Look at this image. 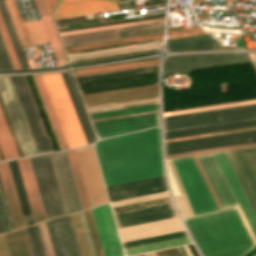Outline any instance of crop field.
<instances>
[{"label": "crop field", "mask_w": 256, "mask_h": 256, "mask_svg": "<svg viewBox=\"0 0 256 256\" xmlns=\"http://www.w3.org/2000/svg\"><path fill=\"white\" fill-rule=\"evenodd\" d=\"M105 185L163 175L160 127L94 144Z\"/></svg>", "instance_id": "8a807250"}, {"label": "crop field", "mask_w": 256, "mask_h": 256, "mask_svg": "<svg viewBox=\"0 0 256 256\" xmlns=\"http://www.w3.org/2000/svg\"><path fill=\"white\" fill-rule=\"evenodd\" d=\"M184 222L203 256H242L254 246L235 207Z\"/></svg>", "instance_id": "ac0d7876"}, {"label": "crop field", "mask_w": 256, "mask_h": 256, "mask_svg": "<svg viewBox=\"0 0 256 256\" xmlns=\"http://www.w3.org/2000/svg\"><path fill=\"white\" fill-rule=\"evenodd\" d=\"M0 96L23 155L53 151L24 77H0Z\"/></svg>", "instance_id": "34b2d1b8"}, {"label": "crop field", "mask_w": 256, "mask_h": 256, "mask_svg": "<svg viewBox=\"0 0 256 256\" xmlns=\"http://www.w3.org/2000/svg\"><path fill=\"white\" fill-rule=\"evenodd\" d=\"M68 148L86 146L83 133L60 73L41 75Z\"/></svg>", "instance_id": "412701ff"}, {"label": "crop field", "mask_w": 256, "mask_h": 256, "mask_svg": "<svg viewBox=\"0 0 256 256\" xmlns=\"http://www.w3.org/2000/svg\"><path fill=\"white\" fill-rule=\"evenodd\" d=\"M256 119V104L163 118L164 132Z\"/></svg>", "instance_id": "f4fd0767"}, {"label": "crop field", "mask_w": 256, "mask_h": 256, "mask_svg": "<svg viewBox=\"0 0 256 256\" xmlns=\"http://www.w3.org/2000/svg\"><path fill=\"white\" fill-rule=\"evenodd\" d=\"M195 215L217 210L218 207L193 159L172 160Z\"/></svg>", "instance_id": "dd49c442"}, {"label": "crop field", "mask_w": 256, "mask_h": 256, "mask_svg": "<svg viewBox=\"0 0 256 256\" xmlns=\"http://www.w3.org/2000/svg\"><path fill=\"white\" fill-rule=\"evenodd\" d=\"M30 163L46 215V219H53L64 215L61 198L52 170L49 155L31 157Z\"/></svg>", "instance_id": "e52e79f7"}, {"label": "crop field", "mask_w": 256, "mask_h": 256, "mask_svg": "<svg viewBox=\"0 0 256 256\" xmlns=\"http://www.w3.org/2000/svg\"><path fill=\"white\" fill-rule=\"evenodd\" d=\"M256 142V129L165 143V155Z\"/></svg>", "instance_id": "d8731c3e"}, {"label": "crop field", "mask_w": 256, "mask_h": 256, "mask_svg": "<svg viewBox=\"0 0 256 256\" xmlns=\"http://www.w3.org/2000/svg\"><path fill=\"white\" fill-rule=\"evenodd\" d=\"M251 61L248 54H199L165 59L166 74Z\"/></svg>", "instance_id": "5a996713"}, {"label": "crop field", "mask_w": 256, "mask_h": 256, "mask_svg": "<svg viewBox=\"0 0 256 256\" xmlns=\"http://www.w3.org/2000/svg\"><path fill=\"white\" fill-rule=\"evenodd\" d=\"M76 155L90 206L108 202L93 146L77 149Z\"/></svg>", "instance_id": "3316defc"}, {"label": "crop field", "mask_w": 256, "mask_h": 256, "mask_svg": "<svg viewBox=\"0 0 256 256\" xmlns=\"http://www.w3.org/2000/svg\"><path fill=\"white\" fill-rule=\"evenodd\" d=\"M50 159L62 198L65 213L81 210V204L73 179L67 152L51 153Z\"/></svg>", "instance_id": "28ad6ade"}, {"label": "crop field", "mask_w": 256, "mask_h": 256, "mask_svg": "<svg viewBox=\"0 0 256 256\" xmlns=\"http://www.w3.org/2000/svg\"><path fill=\"white\" fill-rule=\"evenodd\" d=\"M92 214L105 256H123L110 205L92 208Z\"/></svg>", "instance_id": "d1516ede"}, {"label": "crop field", "mask_w": 256, "mask_h": 256, "mask_svg": "<svg viewBox=\"0 0 256 256\" xmlns=\"http://www.w3.org/2000/svg\"><path fill=\"white\" fill-rule=\"evenodd\" d=\"M97 138L159 125V113L92 123Z\"/></svg>", "instance_id": "22f410ed"}, {"label": "crop field", "mask_w": 256, "mask_h": 256, "mask_svg": "<svg viewBox=\"0 0 256 256\" xmlns=\"http://www.w3.org/2000/svg\"><path fill=\"white\" fill-rule=\"evenodd\" d=\"M175 217L171 203L114 215L118 228Z\"/></svg>", "instance_id": "cbeb9de0"}, {"label": "crop field", "mask_w": 256, "mask_h": 256, "mask_svg": "<svg viewBox=\"0 0 256 256\" xmlns=\"http://www.w3.org/2000/svg\"><path fill=\"white\" fill-rule=\"evenodd\" d=\"M106 188L110 201L167 190L163 176Z\"/></svg>", "instance_id": "5142ce71"}, {"label": "crop field", "mask_w": 256, "mask_h": 256, "mask_svg": "<svg viewBox=\"0 0 256 256\" xmlns=\"http://www.w3.org/2000/svg\"><path fill=\"white\" fill-rule=\"evenodd\" d=\"M197 157V156H196ZM223 208L238 205L213 154L198 156Z\"/></svg>", "instance_id": "d9b57169"}, {"label": "crop field", "mask_w": 256, "mask_h": 256, "mask_svg": "<svg viewBox=\"0 0 256 256\" xmlns=\"http://www.w3.org/2000/svg\"><path fill=\"white\" fill-rule=\"evenodd\" d=\"M214 156L256 236V215L246 195L244 194L224 152L215 153Z\"/></svg>", "instance_id": "733c2abd"}, {"label": "crop field", "mask_w": 256, "mask_h": 256, "mask_svg": "<svg viewBox=\"0 0 256 256\" xmlns=\"http://www.w3.org/2000/svg\"><path fill=\"white\" fill-rule=\"evenodd\" d=\"M118 9L115 0H83L59 4L53 18H63Z\"/></svg>", "instance_id": "4a817a6b"}, {"label": "crop field", "mask_w": 256, "mask_h": 256, "mask_svg": "<svg viewBox=\"0 0 256 256\" xmlns=\"http://www.w3.org/2000/svg\"><path fill=\"white\" fill-rule=\"evenodd\" d=\"M17 161H18V165L22 175L27 197L29 200V204L31 207L34 222L36 223V222L44 221L46 219H45L43 208L40 202L38 191L36 188L34 177L31 171L29 160L28 158H25V159H19Z\"/></svg>", "instance_id": "bc2a9ffb"}, {"label": "crop field", "mask_w": 256, "mask_h": 256, "mask_svg": "<svg viewBox=\"0 0 256 256\" xmlns=\"http://www.w3.org/2000/svg\"><path fill=\"white\" fill-rule=\"evenodd\" d=\"M178 221H179V219L175 218V219H169V220H164V221H159V222H153V223H148V224L120 228V229H118V231H119V233H121V232L137 230V229H142V228H147V227H152V226H157V225H162V224H168V223H173V222H178ZM180 226H182V225L180 222H178V223L162 225V226H157V227H152V228H147V229H142V230H137V231L121 233V234H119V236H120V238H122V237L133 236V235H138V234H143V233H148V232H154V231H159V230H164V229H169V228L180 227ZM183 230H184V228L180 227V228L169 229V230H164V231H159V232H154V233H148V234H143V235H138V236H133V237L122 238V239H120V241L123 242V241L139 239V238H144V237H149V236H154V235H159V234L183 231Z\"/></svg>", "instance_id": "214f88e0"}, {"label": "crop field", "mask_w": 256, "mask_h": 256, "mask_svg": "<svg viewBox=\"0 0 256 256\" xmlns=\"http://www.w3.org/2000/svg\"><path fill=\"white\" fill-rule=\"evenodd\" d=\"M155 93H158L157 84L105 91V92H98V93H91V94H84L81 96L83 98L84 103L88 104V103H94V102H100V101H107V100L155 94Z\"/></svg>", "instance_id": "92a150f3"}, {"label": "crop field", "mask_w": 256, "mask_h": 256, "mask_svg": "<svg viewBox=\"0 0 256 256\" xmlns=\"http://www.w3.org/2000/svg\"><path fill=\"white\" fill-rule=\"evenodd\" d=\"M0 175L6 192L15 228H22L25 225L7 161L0 162Z\"/></svg>", "instance_id": "dafd665d"}, {"label": "crop field", "mask_w": 256, "mask_h": 256, "mask_svg": "<svg viewBox=\"0 0 256 256\" xmlns=\"http://www.w3.org/2000/svg\"><path fill=\"white\" fill-rule=\"evenodd\" d=\"M214 44H218L209 35L170 40L167 41L166 48L169 52L197 51L215 49Z\"/></svg>", "instance_id": "00972430"}, {"label": "crop field", "mask_w": 256, "mask_h": 256, "mask_svg": "<svg viewBox=\"0 0 256 256\" xmlns=\"http://www.w3.org/2000/svg\"><path fill=\"white\" fill-rule=\"evenodd\" d=\"M62 77L64 79L65 85L67 87L68 93L70 95L72 104L74 106L75 112L77 114L79 123L81 125L82 131L84 133L87 144L95 142L92 131L90 129L89 123L87 121L86 115L84 113L83 107L79 100L78 94L76 92L75 86L73 84L72 78L69 74L62 72Z\"/></svg>", "instance_id": "a9b5d70f"}, {"label": "crop field", "mask_w": 256, "mask_h": 256, "mask_svg": "<svg viewBox=\"0 0 256 256\" xmlns=\"http://www.w3.org/2000/svg\"><path fill=\"white\" fill-rule=\"evenodd\" d=\"M52 226L61 256H77L72 242L67 218L52 220Z\"/></svg>", "instance_id": "4177f3b9"}, {"label": "crop field", "mask_w": 256, "mask_h": 256, "mask_svg": "<svg viewBox=\"0 0 256 256\" xmlns=\"http://www.w3.org/2000/svg\"><path fill=\"white\" fill-rule=\"evenodd\" d=\"M256 120L164 133V139L254 127Z\"/></svg>", "instance_id": "730fd06b"}, {"label": "crop field", "mask_w": 256, "mask_h": 256, "mask_svg": "<svg viewBox=\"0 0 256 256\" xmlns=\"http://www.w3.org/2000/svg\"><path fill=\"white\" fill-rule=\"evenodd\" d=\"M8 162H9L10 170H11V173H12L13 181H14V184H15L16 192H17V195H18L19 203H20V206H21L22 214H23V217H24L25 225L27 226V225L33 224L34 223L33 218H32V215H31L28 200H27L26 193H25V190H24V186H23V183H22V179H21V176H20L17 161L12 160V161H8Z\"/></svg>", "instance_id": "eef30255"}, {"label": "crop field", "mask_w": 256, "mask_h": 256, "mask_svg": "<svg viewBox=\"0 0 256 256\" xmlns=\"http://www.w3.org/2000/svg\"><path fill=\"white\" fill-rule=\"evenodd\" d=\"M45 28L46 34L48 36L49 42L53 49L54 55L56 57L58 65H63L66 63L67 59L64 54L63 48L61 46L59 37L57 35L56 29L54 27L51 16L40 17Z\"/></svg>", "instance_id": "ae1a2a85"}, {"label": "crop field", "mask_w": 256, "mask_h": 256, "mask_svg": "<svg viewBox=\"0 0 256 256\" xmlns=\"http://www.w3.org/2000/svg\"><path fill=\"white\" fill-rule=\"evenodd\" d=\"M0 11H1L2 17L4 19V22L6 24L7 30L9 32V35L11 37V40L13 42L16 53L18 55V58L20 60L22 68L23 69L30 68L29 65H28L27 59L25 57V54L23 52L22 46L20 44V41L18 39L15 28L13 26V23L11 21L10 15H9L8 10L6 8L4 0H0Z\"/></svg>", "instance_id": "d3111659"}, {"label": "crop field", "mask_w": 256, "mask_h": 256, "mask_svg": "<svg viewBox=\"0 0 256 256\" xmlns=\"http://www.w3.org/2000/svg\"><path fill=\"white\" fill-rule=\"evenodd\" d=\"M5 235L11 256H31L23 228Z\"/></svg>", "instance_id": "750c4746"}, {"label": "crop field", "mask_w": 256, "mask_h": 256, "mask_svg": "<svg viewBox=\"0 0 256 256\" xmlns=\"http://www.w3.org/2000/svg\"><path fill=\"white\" fill-rule=\"evenodd\" d=\"M0 149L5 160L19 157L0 111Z\"/></svg>", "instance_id": "bd1437ed"}, {"label": "crop field", "mask_w": 256, "mask_h": 256, "mask_svg": "<svg viewBox=\"0 0 256 256\" xmlns=\"http://www.w3.org/2000/svg\"><path fill=\"white\" fill-rule=\"evenodd\" d=\"M189 243H192V242L189 239V237L186 236V237H181V238H176V239H171V240H166V241H161V242H156V243H151V244H146V245L125 248L123 250H124V254L128 255V254H133V253H138V252H144V251L165 248V247H171V246H177V245H183V244H189Z\"/></svg>", "instance_id": "1d83c4d3"}, {"label": "crop field", "mask_w": 256, "mask_h": 256, "mask_svg": "<svg viewBox=\"0 0 256 256\" xmlns=\"http://www.w3.org/2000/svg\"><path fill=\"white\" fill-rule=\"evenodd\" d=\"M67 152H68L69 160H70V163H71L72 171H73V174H74V178H75L76 186H77V189H78L79 197H80V200H81L82 208L83 209L89 208L90 206H89L88 198H87L86 191H85V188H84V184H83V180H82V177H81L78 162H77V159H76L75 151L70 150V151H67Z\"/></svg>", "instance_id": "120bbe31"}, {"label": "crop field", "mask_w": 256, "mask_h": 256, "mask_svg": "<svg viewBox=\"0 0 256 256\" xmlns=\"http://www.w3.org/2000/svg\"><path fill=\"white\" fill-rule=\"evenodd\" d=\"M225 154H226V156H227V158H228V160H229V162H230V164H231V166H232V168H233V170H234V172H235V174H236V176H237V178H238V180H239V182H240V184H241V186L244 190V192L246 193V195H247V197H248V199H249V201H250V203H251V205H252V207H253V209L256 213V199H255V197H254V195H253V193H252V191H251V189H250V187H249V185H248V183H247V181H246V179H245V177H244V175H243V173H242V171H241V169H240V167H239V165H238V163H237V161H236V159H235V157L232 153V151H227V152H225Z\"/></svg>", "instance_id": "d32e631a"}, {"label": "crop field", "mask_w": 256, "mask_h": 256, "mask_svg": "<svg viewBox=\"0 0 256 256\" xmlns=\"http://www.w3.org/2000/svg\"><path fill=\"white\" fill-rule=\"evenodd\" d=\"M156 48H157V45H151V46H143V47L122 49V50H115V51H107V52H100V53H93V54H86V55L71 56V57H68V59L70 61H75V60L103 57V56H110V55H118V54L153 50Z\"/></svg>", "instance_id": "5866460e"}, {"label": "crop field", "mask_w": 256, "mask_h": 256, "mask_svg": "<svg viewBox=\"0 0 256 256\" xmlns=\"http://www.w3.org/2000/svg\"><path fill=\"white\" fill-rule=\"evenodd\" d=\"M83 212H84V216H85L87 226H88V229H89V232H90V236H91L92 243H93V246H94L95 254H96V256H104L103 252H102L101 245H100V241H99V238H98V235H97V231H96V228H95V224H94V221H93V217H92V214H91V210L88 209V210H84Z\"/></svg>", "instance_id": "028f5c9d"}, {"label": "crop field", "mask_w": 256, "mask_h": 256, "mask_svg": "<svg viewBox=\"0 0 256 256\" xmlns=\"http://www.w3.org/2000/svg\"><path fill=\"white\" fill-rule=\"evenodd\" d=\"M159 109L158 104L89 115L91 119Z\"/></svg>", "instance_id": "e1f06a70"}, {"label": "crop field", "mask_w": 256, "mask_h": 256, "mask_svg": "<svg viewBox=\"0 0 256 256\" xmlns=\"http://www.w3.org/2000/svg\"><path fill=\"white\" fill-rule=\"evenodd\" d=\"M71 216H72V220H73V223H74L77 238H78V241H79L82 256H89V252H88V248H87V245H86L84 233H83V230H82L79 214L76 213V214H72Z\"/></svg>", "instance_id": "0bd39190"}, {"label": "crop field", "mask_w": 256, "mask_h": 256, "mask_svg": "<svg viewBox=\"0 0 256 256\" xmlns=\"http://www.w3.org/2000/svg\"><path fill=\"white\" fill-rule=\"evenodd\" d=\"M0 32H1V35H2L3 40L5 42L6 48L8 50L9 55H10V58L12 60L14 68L15 69H21V67L18 63L17 57L15 55L14 49L12 47L11 41L9 39L8 33L6 31L5 25L3 23L1 15H0Z\"/></svg>", "instance_id": "b80d0937"}, {"label": "crop field", "mask_w": 256, "mask_h": 256, "mask_svg": "<svg viewBox=\"0 0 256 256\" xmlns=\"http://www.w3.org/2000/svg\"><path fill=\"white\" fill-rule=\"evenodd\" d=\"M233 153H234V155H235V157H236V159H237L245 177L247 178V180H248V182H249V184H250V186H251V188H252V190H253V192L256 196V182H255V180H254V178H253V176H252V174H251V172H250V170H249V168H248L240 150H235V151H233Z\"/></svg>", "instance_id": "c035e120"}, {"label": "crop field", "mask_w": 256, "mask_h": 256, "mask_svg": "<svg viewBox=\"0 0 256 256\" xmlns=\"http://www.w3.org/2000/svg\"><path fill=\"white\" fill-rule=\"evenodd\" d=\"M253 146H256V143L224 147V148H217V149H210V150H203V151H196V152H189V153H182V154H175V155H168V156H165V159L197 155V154H204V153H211V152H218V151H225V150H232V149H239V148H246V147H253Z\"/></svg>", "instance_id": "c21b1889"}, {"label": "crop field", "mask_w": 256, "mask_h": 256, "mask_svg": "<svg viewBox=\"0 0 256 256\" xmlns=\"http://www.w3.org/2000/svg\"><path fill=\"white\" fill-rule=\"evenodd\" d=\"M159 38H162V35L146 37V38H139V39H132V40H125V41H119V42H112V43H105V44H97V45H90V46H83V47L68 48V49H65V51L69 52V51H76V50H83V49H90V48H97V47H104V46H111V45H117V44H124V43H131V42L159 39Z\"/></svg>", "instance_id": "03da06ac"}, {"label": "crop field", "mask_w": 256, "mask_h": 256, "mask_svg": "<svg viewBox=\"0 0 256 256\" xmlns=\"http://www.w3.org/2000/svg\"><path fill=\"white\" fill-rule=\"evenodd\" d=\"M162 17H165V14L149 16V17H142V18H135V19H128V20H122V21H115V22H108V23H101V24H95V25L74 27V28H68V29H61V30H58V31L62 32V31H70V30H77V29L92 28V27H100V26H107V25H113V24H119V23L131 22V21L154 19V18H162Z\"/></svg>", "instance_id": "b54c1fbb"}, {"label": "crop field", "mask_w": 256, "mask_h": 256, "mask_svg": "<svg viewBox=\"0 0 256 256\" xmlns=\"http://www.w3.org/2000/svg\"><path fill=\"white\" fill-rule=\"evenodd\" d=\"M36 76H37V78H38L39 84H40L41 89H42V91H43V94H44V96H45L46 102H47V104H48V107H49V109H50L51 115H52L53 120H54V122H55L56 128H57L58 133H59V135H60V138H61V140H62L63 146H64L65 149H68V148H67V145H66V143H65L64 137H63V135H62L61 129H60V127H59L58 121H57V119H56L55 113H54V111H53L52 105H51V103H50L49 97H48V95H47L46 89H45V87H44L43 81H42V79H41V76H40V75H36Z\"/></svg>", "instance_id": "5d738f31"}, {"label": "crop field", "mask_w": 256, "mask_h": 256, "mask_svg": "<svg viewBox=\"0 0 256 256\" xmlns=\"http://www.w3.org/2000/svg\"><path fill=\"white\" fill-rule=\"evenodd\" d=\"M14 69L5 48L4 42L0 35V70H10Z\"/></svg>", "instance_id": "d23c7cc5"}, {"label": "crop field", "mask_w": 256, "mask_h": 256, "mask_svg": "<svg viewBox=\"0 0 256 256\" xmlns=\"http://www.w3.org/2000/svg\"><path fill=\"white\" fill-rule=\"evenodd\" d=\"M255 180H256V150L255 148L241 150Z\"/></svg>", "instance_id": "425ffa30"}, {"label": "crop field", "mask_w": 256, "mask_h": 256, "mask_svg": "<svg viewBox=\"0 0 256 256\" xmlns=\"http://www.w3.org/2000/svg\"><path fill=\"white\" fill-rule=\"evenodd\" d=\"M158 62V59L142 61V62H134V63H126V64H118V65H111V66H104L98 68H91V69H84L75 71L74 74L77 73H84V72H91V71H98V70H105V69H112V68H119V67H126V66H133V65H141V64H148V63H155Z\"/></svg>", "instance_id": "25e5ab78"}, {"label": "crop field", "mask_w": 256, "mask_h": 256, "mask_svg": "<svg viewBox=\"0 0 256 256\" xmlns=\"http://www.w3.org/2000/svg\"><path fill=\"white\" fill-rule=\"evenodd\" d=\"M255 102H256V100H254V101H247V102H240V103H233V104H227V105H220V106H213V107H206V108H200V109L179 111V112H173V113H166V114H163V117L172 116V115H178V114H184V113H190V112H196V111H202V110H208V109H214V108H221V107L242 105V104H248V103H255Z\"/></svg>", "instance_id": "73cf0c24"}, {"label": "crop field", "mask_w": 256, "mask_h": 256, "mask_svg": "<svg viewBox=\"0 0 256 256\" xmlns=\"http://www.w3.org/2000/svg\"><path fill=\"white\" fill-rule=\"evenodd\" d=\"M79 214H80L83 230H84V233H85L87 245H88V248H89L90 256H95L94 250H93V247H92V243H91V240H90V237H89V233H88V230H87V226H86V223H85V219H84V216H83V212L81 211V212H79Z\"/></svg>", "instance_id": "89e229c0"}, {"label": "crop field", "mask_w": 256, "mask_h": 256, "mask_svg": "<svg viewBox=\"0 0 256 256\" xmlns=\"http://www.w3.org/2000/svg\"><path fill=\"white\" fill-rule=\"evenodd\" d=\"M45 223H46V227H47V230H48V234H49V237H50V241H51V244H52L54 254H55V256H60L58 248H57L56 240H55V237H54V233H53V230H52L51 222L47 221Z\"/></svg>", "instance_id": "1f2cbd36"}, {"label": "crop field", "mask_w": 256, "mask_h": 256, "mask_svg": "<svg viewBox=\"0 0 256 256\" xmlns=\"http://www.w3.org/2000/svg\"><path fill=\"white\" fill-rule=\"evenodd\" d=\"M0 194H1V198H2V201H3L4 208H5V212H6V215H7L10 230L12 231V230H14V228H13L11 216H10V213H9L8 205H7V202H6L4 190H3V187H2L1 179H0Z\"/></svg>", "instance_id": "dbb93151"}, {"label": "crop field", "mask_w": 256, "mask_h": 256, "mask_svg": "<svg viewBox=\"0 0 256 256\" xmlns=\"http://www.w3.org/2000/svg\"><path fill=\"white\" fill-rule=\"evenodd\" d=\"M155 254H156V256H180L177 248L162 250V251H156Z\"/></svg>", "instance_id": "0fb4a251"}, {"label": "crop field", "mask_w": 256, "mask_h": 256, "mask_svg": "<svg viewBox=\"0 0 256 256\" xmlns=\"http://www.w3.org/2000/svg\"><path fill=\"white\" fill-rule=\"evenodd\" d=\"M67 217H68L69 225H70V228H71L72 236H73V239H74L75 247H76V250H77V254H78V256H81V252H80L79 245H78V242H77V238H76V234H75L74 227H73V224H72L71 216L68 215Z\"/></svg>", "instance_id": "1d79db26"}, {"label": "crop field", "mask_w": 256, "mask_h": 256, "mask_svg": "<svg viewBox=\"0 0 256 256\" xmlns=\"http://www.w3.org/2000/svg\"><path fill=\"white\" fill-rule=\"evenodd\" d=\"M35 3L41 16L49 15L43 0H35Z\"/></svg>", "instance_id": "9d1cf04e"}, {"label": "crop field", "mask_w": 256, "mask_h": 256, "mask_svg": "<svg viewBox=\"0 0 256 256\" xmlns=\"http://www.w3.org/2000/svg\"><path fill=\"white\" fill-rule=\"evenodd\" d=\"M0 241H1V244H2L4 255L5 256H10L4 234L0 235Z\"/></svg>", "instance_id": "447ae74e"}, {"label": "crop field", "mask_w": 256, "mask_h": 256, "mask_svg": "<svg viewBox=\"0 0 256 256\" xmlns=\"http://www.w3.org/2000/svg\"><path fill=\"white\" fill-rule=\"evenodd\" d=\"M155 43H161V41L152 42V43H145V44H139V45L126 46V47H119V48H113V49H120V48H127V47H134V46H141V45H148V44H155ZM113 49H106V50H113ZM106 50H99V51H106ZM99 51H92V52H99ZM92 52H84V53L70 54V55H67V56L78 55V54H85V53H92Z\"/></svg>", "instance_id": "0765c3eb"}, {"label": "crop field", "mask_w": 256, "mask_h": 256, "mask_svg": "<svg viewBox=\"0 0 256 256\" xmlns=\"http://www.w3.org/2000/svg\"><path fill=\"white\" fill-rule=\"evenodd\" d=\"M155 103H158V102H155ZM155 103H148V104H141V105L127 106V107H119V108H112V109H105V110L91 111V112H88V114L98 113V112H104V111H111V110H117V109H123V108H130V107H136V106H143V105H149V104H155Z\"/></svg>", "instance_id": "db79e9e6"}, {"label": "crop field", "mask_w": 256, "mask_h": 256, "mask_svg": "<svg viewBox=\"0 0 256 256\" xmlns=\"http://www.w3.org/2000/svg\"><path fill=\"white\" fill-rule=\"evenodd\" d=\"M158 65V64H155ZM155 65H148V66H155ZM148 66H141V67H148ZM141 67H134V68H141ZM134 68H127V69H134ZM127 69H120V70H127ZM120 70H113V71H120ZM113 71H106V72H113ZM106 72H99V73H106ZM99 73H92V74H99ZM92 74H85V75H92ZM85 75H78V76H85ZM75 76V77H78Z\"/></svg>", "instance_id": "7b73153f"}, {"label": "crop field", "mask_w": 256, "mask_h": 256, "mask_svg": "<svg viewBox=\"0 0 256 256\" xmlns=\"http://www.w3.org/2000/svg\"><path fill=\"white\" fill-rule=\"evenodd\" d=\"M5 227H4V224H3V220H2V217H1V213H0V234L1 233H5Z\"/></svg>", "instance_id": "78b8030e"}, {"label": "crop field", "mask_w": 256, "mask_h": 256, "mask_svg": "<svg viewBox=\"0 0 256 256\" xmlns=\"http://www.w3.org/2000/svg\"><path fill=\"white\" fill-rule=\"evenodd\" d=\"M178 250H179V252H180L181 256H188V255H187V253L185 252V250H184L183 246L178 247Z\"/></svg>", "instance_id": "0f1d7ab4"}, {"label": "crop field", "mask_w": 256, "mask_h": 256, "mask_svg": "<svg viewBox=\"0 0 256 256\" xmlns=\"http://www.w3.org/2000/svg\"><path fill=\"white\" fill-rule=\"evenodd\" d=\"M57 1H58V0H49L50 5H51V7H52V10L54 9V7H55Z\"/></svg>", "instance_id": "e1d0b9f6"}, {"label": "crop field", "mask_w": 256, "mask_h": 256, "mask_svg": "<svg viewBox=\"0 0 256 256\" xmlns=\"http://www.w3.org/2000/svg\"><path fill=\"white\" fill-rule=\"evenodd\" d=\"M0 256H4L2 252L1 244H0Z\"/></svg>", "instance_id": "ae633e8c"}, {"label": "crop field", "mask_w": 256, "mask_h": 256, "mask_svg": "<svg viewBox=\"0 0 256 256\" xmlns=\"http://www.w3.org/2000/svg\"><path fill=\"white\" fill-rule=\"evenodd\" d=\"M64 1H70V0H61L60 2H64Z\"/></svg>", "instance_id": "d14b1444"}, {"label": "crop field", "mask_w": 256, "mask_h": 256, "mask_svg": "<svg viewBox=\"0 0 256 256\" xmlns=\"http://www.w3.org/2000/svg\"><path fill=\"white\" fill-rule=\"evenodd\" d=\"M137 256H144V254H141V255H137Z\"/></svg>", "instance_id": "c39391a2"}, {"label": "crop field", "mask_w": 256, "mask_h": 256, "mask_svg": "<svg viewBox=\"0 0 256 256\" xmlns=\"http://www.w3.org/2000/svg\"><path fill=\"white\" fill-rule=\"evenodd\" d=\"M254 63H255V65H256V61H255Z\"/></svg>", "instance_id": "ade564c9"}, {"label": "crop field", "mask_w": 256, "mask_h": 256, "mask_svg": "<svg viewBox=\"0 0 256 256\" xmlns=\"http://www.w3.org/2000/svg\"><path fill=\"white\" fill-rule=\"evenodd\" d=\"M0 160H2L1 157H0Z\"/></svg>", "instance_id": "c5b07064"}]
</instances>
